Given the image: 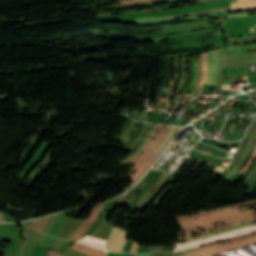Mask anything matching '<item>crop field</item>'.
<instances>
[{"label": "crop field", "mask_w": 256, "mask_h": 256, "mask_svg": "<svg viewBox=\"0 0 256 256\" xmlns=\"http://www.w3.org/2000/svg\"><path fill=\"white\" fill-rule=\"evenodd\" d=\"M212 27L213 26L210 25L207 21L205 22V20H199V21L181 23V24H176V25L162 26V27H157V28H145V29H141V30H131V31H145V30H153V29H158V28H161L162 30L154 31V32L133 33V34H145V33H155V32L164 31V33H159V34L132 36L133 38H139V37L166 35V34L190 31V30H194V29L212 28Z\"/></svg>", "instance_id": "crop-field-1"}, {"label": "crop field", "mask_w": 256, "mask_h": 256, "mask_svg": "<svg viewBox=\"0 0 256 256\" xmlns=\"http://www.w3.org/2000/svg\"><path fill=\"white\" fill-rule=\"evenodd\" d=\"M252 232H256V225L252 226V227L242 228V229H238L235 231L223 233V234L216 235V236L209 237V238H204V239L191 241V242L180 243V244H178L176 251L187 250V249H191V248H194L197 246L207 245V244L213 243L218 240H222V239H226V238H230V237H234V236H238V235H242V234H246V233H252Z\"/></svg>", "instance_id": "crop-field-2"}, {"label": "crop field", "mask_w": 256, "mask_h": 256, "mask_svg": "<svg viewBox=\"0 0 256 256\" xmlns=\"http://www.w3.org/2000/svg\"><path fill=\"white\" fill-rule=\"evenodd\" d=\"M219 69V49L209 51L204 83L215 85L219 74Z\"/></svg>", "instance_id": "crop-field-3"}, {"label": "crop field", "mask_w": 256, "mask_h": 256, "mask_svg": "<svg viewBox=\"0 0 256 256\" xmlns=\"http://www.w3.org/2000/svg\"><path fill=\"white\" fill-rule=\"evenodd\" d=\"M252 207H256V205L250 206V207H245V208L226 210V211H222V212H219V213L203 216V217H200L198 219L183 221V222H180V223H181L182 227L184 228V227L204 223V222H207V221H210V220H213V219H218V218L226 217V216L233 215V214H238V213H243V212L256 210V209H252V210H247V211H243V212L238 211V210H241V209L252 208Z\"/></svg>", "instance_id": "crop-field-4"}, {"label": "crop field", "mask_w": 256, "mask_h": 256, "mask_svg": "<svg viewBox=\"0 0 256 256\" xmlns=\"http://www.w3.org/2000/svg\"><path fill=\"white\" fill-rule=\"evenodd\" d=\"M127 232L122 231V229L115 228L111 232L108 238L107 248L112 252H121L125 244L127 237Z\"/></svg>", "instance_id": "crop-field-5"}, {"label": "crop field", "mask_w": 256, "mask_h": 256, "mask_svg": "<svg viewBox=\"0 0 256 256\" xmlns=\"http://www.w3.org/2000/svg\"><path fill=\"white\" fill-rule=\"evenodd\" d=\"M252 244H256V237L229 243V244H225V245H220V246H216V247H212V248H208V249H205L202 251H197V252L203 253V254H216V253L225 252V251H229V250H232L235 248L252 245Z\"/></svg>", "instance_id": "crop-field-6"}, {"label": "crop field", "mask_w": 256, "mask_h": 256, "mask_svg": "<svg viewBox=\"0 0 256 256\" xmlns=\"http://www.w3.org/2000/svg\"><path fill=\"white\" fill-rule=\"evenodd\" d=\"M104 206L105 204L95 207L92 213L89 215V217L84 221V223L80 226V228L69 240L75 241L76 239L80 238L83 235V233L87 230V228L91 226L93 222L97 219L100 211L104 208Z\"/></svg>", "instance_id": "crop-field-7"}, {"label": "crop field", "mask_w": 256, "mask_h": 256, "mask_svg": "<svg viewBox=\"0 0 256 256\" xmlns=\"http://www.w3.org/2000/svg\"><path fill=\"white\" fill-rule=\"evenodd\" d=\"M161 154V153H160ZM157 154L155 156H153L150 159L145 160L139 167L138 169L132 174V176L130 178L133 179V182L127 186L124 190L130 188L133 183L144 173V171L157 159V157L160 155ZM146 172V171H145Z\"/></svg>", "instance_id": "crop-field-8"}, {"label": "crop field", "mask_w": 256, "mask_h": 256, "mask_svg": "<svg viewBox=\"0 0 256 256\" xmlns=\"http://www.w3.org/2000/svg\"><path fill=\"white\" fill-rule=\"evenodd\" d=\"M76 242H79V243H82L85 245H89V246H93V247H96L101 250H106V241L96 239V238H93V237H90L87 235H85L83 238L77 240Z\"/></svg>", "instance_id": "crop-field-9"}, {"label": "crop field", "mask_w": 256, "mask_h": 256, "mask_svg": "<svg viewBox=\"0 0 256 256\" xmlns=\"http://www.w3.org/2000/svg\"><path fill=\"white\" fill-rule=\"evenodd\" d=\"M67 220H68V217L63 216V215L57 217V219L55 220L49 234L52 235V236L58 237L60 235L63 227L65 226Z\"/></svg>", "instance_id": "crop-field-10"}, {"label": "crop field", "mask_w": 256, "mask_h": 256, "mask_svg": "<svg viewBox=\"0 0 256 256\" xmlns=\"http://www.w3.org/2000/svg\"><path fill=\"white\" fill-rule=\"evenodd\" d=\"M179 127L171 126L168 134L164 137V139L161 141V143L158 145V147L155 149V151L152 153L151 156L154 154L161 152L164 150V148L167 146V144L170 142L171 138L175 134V132L178 130ZM150 156V157H151Z\"/></svg>", "instance_id": "crop-field-11"}, {"label": "crop field", "mask_w": 256, "mask_h": 256, "mask_svg": "<svg viewBox=\"0 0 256 256\" xmlns=\"http://www.w3.org/2000/svg\"><path fill=\"white\" fill-rule=\"evenodd\" d=\"M72 248L83 251V252H85L89 255H92V256H105V252H103V251H98V250H95L93 248L83 246V245H79V244H76V243H74L72 245Z\"/></svg>", "instance_id": "crop-field-12"}, {"label": "crop field", "mask_w": 256, "mask_h": 256, "mask_svg": "<svg viewBox=\"0 0 256 256\" xmlns=\"http://www.w3.org/2000/svg\"><path fill=\"white\" fill-rule=\"evenodd\" d=\"M53 142L47 144V142H43L41 147L37 150L35 156L33 157L32 161L24 168L21 177L25 175V173L28 171V169L36 162V160L39 158V156L42 154V152L45 150V148L49 145H51Z\"/></svg>", "instance_id": "crop-field-13"}, {"label": "crop field", "mask_w": 256, "mask_h": 256, "mask_svg": "<svg viewBox=\"0 0 256 256\" xmlns=\"http://www.w3.org/2000/svg\"><path fill=\"white\" fill-rule=\"evenodd\" d=\"M254 213H256V211L245 213V214H239V215H234V216L226 217V218H223V219H220V220H215V221L207 222V223H204V224L188 227V228H185L184 231L185 230L199 228V227L210 225V224H214V223H218V222H222V221L229 220V219H234V218H238V217L254 214Z\"/></svg>", "instance_id": "crop-field-14"}, {"label": "crop field", "mask_w": 256, "mask_h": 256, "mask_svg": "<svg viewBox=\"0 0 256 256\" xmlns=\"http://www.w3.org/2000/svg\"><path fill=\"white\" fill-rule=\"evenodd\" d=\"M255 202L256 201H254L252 203H255ZM247 204H251V203H243V204L233 205V206H229V207H225V208H221V209H217V210H213V211L202 212V213H199V214H195V215H191V216H188V217L180 218L178 220L179 221L188 220V219L196 218V217H199V216L207 215V214H210V213H214V212H217V211H221V210H225V209H229V208L237 207V206H243V205H247Z\"/></svg>", "instance_id": "crop-field-15"}, {"label": "crop field", "mask_w": 256, "mask_h": 256, "mask_svg": "<svg viewBox=\"0 0 256 256\" xmlns=\"http://www.w3.org/2000/svg\"><path fill=\"white\" fill-rule=\"evenodd\" d=\"M252 217H256V215L247 216V217H243V218H239V219L230 220V221H227V222H224V223H220V224H216V225H212V226H207V227L195 229V230H192V231H189V232L181 233L180 235L188 234V233H193V232H198V231L210 229V228H213V227H216V226H220V225H223V224L232 223V222H237V221L245 220V219L252 218Z\"/></svg>", "instance_id": "crop-field-16"}, {"label": "crop field", "mask_w": 256, "mask_h": 256, "mask_svg": "<svg viewBox=\"0 0 256 256\" xmlns=\"http://www.w3.org/2000/svg\"><path fill=\"white\" fill-rule=\"evenodd\" d=\"M254 224H256V222L255 223H251V224H246V225H241V226L229 228V229H225V230H221V231H217V232H213V233H208V234H204V235L195 236V237H192V238H189V239H183V240H180L179 243L180 242H184V241L195 240V239H198V238H201V237L211 236V235H214V234H218V233H222V232H225V231H229V230H233V229H238V228H242V227H246V226L254 225Z\"/></svg>", "instance_id": "crop-field-17"}, {"label": "crop field", "mask_w": 256, "mask_h": 256, "mask_svg": "<svg viewBox=\"0 0 256 256\" xmlns=\"http://www.w3.org/2000/svg\"><path fill=\"white\" fill-rule=\"evenodd\" d=\"M248 7H256V0L235 2L231 4V10Z\"/></svg>", "instance_id": "crop-field-18"}, {"label": "crop field", "mask_w": 256, "mask_h": 256, "mask_svg": "<svg viewBox=\"0 0 256 256\" xmlns=\"http://www.w3.org/2000/svg\"><path fill=\"white\" fill-rule=\"evenodd\" d=\"M50 218H51V216L43 218V219L32 221V223L30 224L29 227L37 229V230L42 232V230L44 229L45 225L47 224V222L49 221Z\"/></svg>", "instance_id": "crop-field-19"}, {"label": "crop field", "mask_w": 256, "mask_h": 256, "mask_svg": "<svg viewBox=\"0 0 256 256\" xmlns=\"http://www.w3.org/2000/svg\"><path fill=\"white\" fill-rule=\"evenodd\" d=\"M164 126L162 125L159 132L155 135V137L148 143V145L144 148V150L140 153V155L138 157H136L134 160H132L130 163H134L136 162L140 157L144 156L146 154V152L149 150V148L151 147V145L155 142V140L158 138V136L161 134L162 130H163ZM129 163V164H130Z\"/></svg>", "instance_id": "crop-field-20"}, {"label": "crop field", "mask_w": 256, "mask_h": 256, "mask_svg": "<svg viewBox=\"0 0 256 256\" xmlns=\"http://www.w3.org/2000/svg\"><path fill=\"white\" fill-rule=\"evenodd\" d=\"M159 125L155 124V128L154 130L151 132V137L147 138L146 141L143 143V145L140 147V149L137 151V153L135 155H133L131 158L127 159L125 162H123L121 165H125L128 164L132 159H134L139 153L140 151L144 148V146L150 141V139L154 136V134L156 133L157 129H158Z\"/></svg>", "instance_id": "crop-field-21"}, {"label": "crop field", "mask_w": 256, "mask_h": 256, "mask_svg": "<svg viewBox=\"0 0 256 256\" xmlns=\"http://www.w3.org/2000/svg\"><path fill=\"white\" fill-rule=\"evenodd\" d=\"M255 220L256 219H251V220H247V221H243V222H239V223H235V224H231V225H227V226H223V227H219V228H214V229L206 230V231L199 232V233H194V234L186 235V236H183L181 238H185V237H189V236H193V235H197V234H202V233H207V232H212V231L228 228V227H231V226H235V225H239V224H243V223H247V222H251V221H255Z\"/></svg>", "instance_id": "crop-field-22"}, {"label": "crop field", "mask_w": 256, "mask_h": 256, "mask_svg": "<svg viewBox=\"0 0 256 256\" xmlns=\"http://www.w3.org/2000/svg\"><path fill=\"white\" fill-rule=\"evenodd\" d=\"M168 128H169V127L165 126V128H164V130H163L161 136L159 137V139L154 143V145H153V146L151 147V149L147 152V154H146L144 157L140 158L138 161H140V160H142V159H145V158H147V157H149V156L151 155V153H152L153 150L156 148V146L158 145V143L161 141V139H162V138L164 137V135L167 133Z\"/></svg>", "instance_id": "crop-field-23"}, {"label": "crop field", "mask_w": 256, "mask_h": 256, "mask_svg": "<svg viewBox=\"0 0 256 256\" xmlns=\"http://www.w3.org/2000/svg\"><path fill=\"white\" fill-rule=\"evenodd\" d=\"M206 61H207V56L204 55L203 58H202L203 73H202V78H201V82H200V88H199L198 95H202V85H203L204 76H205Z\"/></svg>", "instance_id": "crop-field-24"}, {"label": "crop field", "mask_w": 256, "mask_h": 256, "mask_svg": "<svg viewBox=\"0 0 256 256\" xmlns=\"http://www.w3.org/2000/svg\"><path fill=\"white\" fill-rule=\"evenodd\" d=\"M252 236H256V234L248 235V236H243V237H239V238H235V239H231V240H229V242L241 240V239L252 237ZM229 242H226V243H229ZM222 244H224V243H222ZM216 245H220V244H218V243L210 244V245H207L205 247L196 248L195 251L202 250V249H205V248H208V247H212V246H216Z\"/></svg>", "instance_id": "crop-field-25"}, {"label": "crop field", "mask_w": 256, "mask_h": 256, "mask_svg": "<svg viewBox=\"0 0 256 256\" xmlns=\"http://www.w3.org/2000/svg\"><path fill=\"white\" fill-rule=\"evenodd\" d=\"M55 240H56V238L46 235V237L42 241L41 245H44V246L50 248Z\"/></svg>", "instance_id": "crop-field-26"}, {"label": "crop field", "mask_w": 256, "mask_h": 256, "mask_svg": "<svg viewBox=\"0 0 256 256\" xmlns=\"http://www.w3.org/2000/svg\"><path fill=\"white\" fill-rule=\"evenodd\" d=\"M182 71H183V76H182V79H181V81H180V83H179L176 101L179 100V97H180V94H181L182 82H183V80H184V78H185V58H184V60H183Z\"/></svg>", "instance_id": "crop-field-27"}, {"label": "crop field", "mask_w": 256, "mask_h": 256, "mask_svg": "<svg viewBox=\"0 0 256 256\" xmlns=\"http://www.w3.org/2000/svg\"><path fill=\"white\" fill-rule=\"evenodd\" d=\"M255 156H256V147H255V149H254V151H253V153H252V155H251L249 161L246 163V165H245V166L243 167V169L240 171L241 174H244V172L247 170V168L250 166V164H251L252 161L254 160Z\"/></svg>", "instance_id": "crop-field-28"}, {"label": "crop field", "mask_w": 256, "mask_h": 256, "mask_svg": "<svg viewBox=\"0 0 256 256\" xmlns=\"http://www.w3.org/2000/svg\"><path fill=\"white\" fill-rule=\"evenodd\" d=\"M52 153H53V152L50 151V153L48 154V156L46 157V159L43 161V163H42L35 171H33V172L31 173V176H30L29 179H31V178L35 175V173L48 161V159L51 157Z\"/></svg>", "instance_id": "crop-field-29"}, {"label": "crop field", "mask_w": 256, "mask_h": 256, "mask_svg": "<svg viewBox=\"0 0 256 256\" xmlns=\"http://www.w3.org/2000/svg\"><path fill=\"white\" fill-rule=\"evenodd\" d=\"M144 141H145V139L142 138L141 141H140V143L138 144L137 148H136L132 153H130L128 156H126L123 160H125V159L129 158L131 155H133V154L139 149V147L142 145V143H143ZM123 160H122V161H123ZM122 161L119 162V163L121 164Z\"/></svg>", "instance_id": "crop-field-30"}, {"label": "crop field", "mask_w": 256, "mask_h": 256, "mask_svg": "<svg viewBox=\"0 0 256 256\" xmlns=\"http://www.w3.org/2000/svg\"><path fill=\"white\" fill-rule=\"evenodd\" d=\"M137 249H138V244L134 241L133 247H132V249H131L130 252L136 253V252H137Z\"/></svg>", "instance_id": "crop-field-31"}, {"label": "crop field", "mask_w": 256, "mask_h": 256, "mask_svg": "<svg viewBox=\"0 0 256 256\" xmlns=\"http://www.w3.org/2000/svg\"><path fill=\"white\" fill-rule=\"evenodd\" d=\"M142 162H143V161H142ZM142 162H139V163L135 164V166L133 167V169L131 170V172L127 175V177H129V176L136 170V168H137Z\"/></svg>", "instance_id": "crop-field-32"}, {"label": "crop field", "mask_w": 256, "mask_h": 256, "mask_svg": "<svg viewBox=\"0 0 256 256\" xmlns=\"http://www.w3.org/2000/svg\"><path fill=\"white\" fill-rule=\"evenodd\" d=\"M48 256H63V255H60L59 253H55V251H49Z\"/></svg>", "instance_id": "crop-field-33"}, {"label": "crop field", "mask_w": 256, "mask_h": 256, "mask_svg": "<svg viewBox=\"0 0 256 256\" xmlns=\"http://www.w3.org/2000/svg\"><path fill=\"white\" fill-rule=\"evenodd\" d=\"M256 164V159L254 161V163L252 164V166L246 171V173L243 176V179L245 178V176L250 172V170L254 167V165Z\"/></svg>", "instance_id": "crop-field-34"}, {"label": "crop field", "mask_w": 256, "mask_h": 256, "mask_svg": "<svg viewBox=\"0 0 256 256\" xmlns=\"http://www.w3.org/2000/svg\"><path fill=\"white\" fill-rule=\"evenodd\" d=\"M137 1H144V0H126V1H118L117 3H128V2H137Z\"/></svg>", "instance_id": "crop-field-35"}, {"label": "crop field", "mask_w": 256, "mask_h": 256, "mask_svg": "<svg viewBox=\"0 0 256 256\" xmlns=\"http://www.w3.org/2000/svg\"><path fill=\"white\" fill-rule=\"evenodd\" d=\"M180 256H204V255H196V254L187 253V254H183Z\"/></svg>", "instance_id": "crop-field-36"}, {"label": "crop field", "mask_w": 256, "mask_h": 256, "mask_svg": "<svg viewBox=\"0 0 256 256\" xmlns=\"http://www.w3.org/2000/svg\"><path fill=\"white\" fill-rule=\"evenodd\" d=\"M256 179V175L250 180L249 185Z\"/></svg>", "instance_id": "crop-field-37"}, {"label": "crop field", "mask_w": 256, "mask_h": 256, "mask_svg": "<svg viewBox=\"0 0 256 256\" xmlns=\"http://www.w3.org/2000/svg\"><path fill=\"white\" fill-rule=\"evenodd\" d=\"M26 229H27V227L23 225V227H22V234H23V232H24Z\"/></svg>", "instance_id": "crop-field-38"}, {"label": "crop field", "mask_w": 256, "mask_h": 256, "mask_svg": "<svg viewBox=\"0 0 256 256\" xmlns=\"http://www.w3.org/2000/svg\"><path fill=\"white\" fill-rule=\"evenodd\" d=\"M31 223V221L30 222H26V223H24V224H26V225H28L29 226V224Z\"/></svg>", "instance_id": "crop-field-39"}, {"label": "crop field", "mask_w": 256, "mask_h": 256, "mask_svg": "<svg viewBox=\"0 0 256 256\" xmlns=\"http://www.w3.org/2000/svg\"><path fill=\"white\" fill-rule=\"evenodd\" d=\"M238 1H243V0H238Z\"/></svg>", "instance_id": "crop-field-40"}]
</instances>
